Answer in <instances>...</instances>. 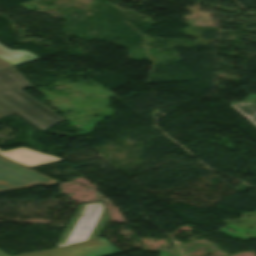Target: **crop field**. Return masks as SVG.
<instances>
[{"mask_svg":"<svg viewBox=\"0 0 256 256\" xmlns=\"http://www.w3.org/2000/svg\"><path fill=\"white\" fill-rule=\"evenodd\" d=\"M0 58L9 62L14 66H18L36 59H39L36 55L29 51L9 50L0 44Z\"/></svg>","mask_w":256,"mask_h":256,"instance_id":"obj_5","label":"crop field"},{"mask_svg":"<svg viewBox=\"0 0 256 256\" xmlns=\"http://www.w3.org/2000/svg\"><path fill=\"white\" fill-rule=\"evenodd\" d=\"M0 256H3V255L0 254Z\"/></svg>","mask_w":256,"mask_h":256,"instance_id":"obj_9","label":"crop field"},{"mask_svg":"<svg viewBox=\"0 0 256 256\" xmlns=\"http://www.w3.org/2000/svg\"><path fill=\"white\" fill-rule=\"evenodd\" d=\"M0 151H1V149H0Z\"/></svg>","mask_w":256,"mask_h":256,"instance_id":"obj_10","label":"crop field"},{"mask_svg":"<svg viewBox=\"0 0 256 256\" xmlns=\"http://www.w3.org/2000/svg\"><path fill=\"white\" fill-rule=\"evenodd\" d=\"M56 183L58 181L0 156V192Z\"/></svg>","mask_w":256,"mask_h":256,"instance_id":"obj_3","label":"crop field"},{"mask_svg":"<svg viewBox=\"0 0 256 256\" xmlns=\"http://www.w3.org/2000/svg\"><path fill=\"white\" fill-rule=\"evenodd\" d=\"M5 67H12V65L0 59V68H5Z\"/></svg>","mask_w":256,"mask_h":256,"instance_id":"obj_7","label":"crop field"},{"mask_svg":"<svg viewBox=\"0 0 256 256\" xmlns=\"http://www.w3.org/2000/svg\"><path fill=\"white\" fill-rule=\"evenodd\" d=\"M244 117H246L252 124L256 126V104L250 102H242L231 105Z\"/></svg>","mask_w":256,"mask_h":256,"instance_id":"obj_6","label":"crop field"},{"mask_svg":"<svg viewBox=\"0 0 256 256\" xmlns=\"http://www.w3.org/2000/svg\"><path fill=\"white\" fill-rule=\"evenodd\" d=\"M245 101L256 102V94L249 95Z\"/></svg>","mask_w":256,"mask_h":256,"instance_id":"obj_8","label":"crop field"},{"mask_svg":"<svg viewBox=\"0 0 256 256\" xmlns=\"http://www.w3.org/2000/svg\"><path fill=\"white\" fill-rule=\"evenodd\" d=\"M108 218L102 201L79 205L55 246L62 247L99 238Z\"/></svg>","mask_w":256,"mask_h":256,"instance_id":"obj_2","label":"crop field"},{"mask_svg":"<svg viewBox=\"0 0 256 256\" xmlns=\"http://www.w3.org/2000/svg\"><path fill=\"white\" fill-rule=\"evenodd\" d=\"M31 87L15 67L0 69V119L14 114L45 132L64 119L22 90Z\"/></svg>","mask_w":256,"mask_h":256,"instance_id":"obj_1","label":"crop field"},{"mask_svg":"<svg viewBox=\"0 0 256 256\" xmlns=\"http://www.w3.org/2000/svg\"><path fill=\"white\" fill-rule=\"evenodd\" d=\"M0 155L28 168L62 161L60 158L25 147L2 151Z\"/></svg>","mask_w":256,"mask_h":256,"instance_id":"obj_4","label":"crop field"}]
</instances>
